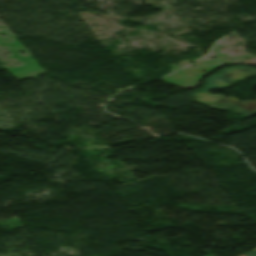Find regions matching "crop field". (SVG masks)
Here are the masks:
<instances>
[{
  "instance_id": "8a807250",
  "label": "crop field",
  "mask_w": 256,
  "mask_h": 256,
  "mask_svg": "<svg viewBox=\"0 0 256 256\" xmlns=\"http://www.w3.org/2000/svg\"><path fill=\"white\" fill-rule=\"evenodd\" d=\"M247 256H256V251H253V252L247 254Z\"/></svg>"
}]
</instances>
